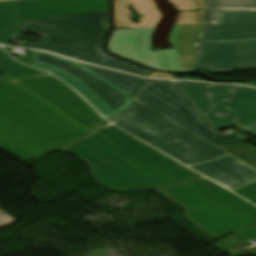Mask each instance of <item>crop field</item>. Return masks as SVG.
I'll return each mask as SVG.
<instances>
[{
    "mask_svg": "<svg viewBox=\"0 0 256 256\" xmlns=\"http://www.w3.org/2000/svg\"><path fill=\"white\" fill-rule=\"evenodd\" d=\"M153 27L115 30L109 50L156 68L149 50ZM175 63L185 70H256V11H219L217 25L178 26Z\"/></svg>",
    "mask_w": 256,
    "mask_h": 256,
    "instance_id": "obj_1",
    "label": "crop field"
},
{
    "mask_svg": "<svg viewBox=\"0 0 256 256\" xmlns=\"http://www.w3.org/2000/svg\"><path fill=\"white\" fill-rule=\"evenodd\" d=\"M91 132L62 149L84 159L93 177L115 191L156 189L201 177L105 120Z\"/></svg>",
    "mask_w": 256,
    "mask_h": 256,
    "instance_id": "obj_2",
    "label": "crop field"
},
{
    "mask_svg": "<svg viewBox=\"0 0 256 256\" xmlns=\"http://www.w3.org/2000/svg\"><path fill=\"white\" fill-rule=\"evenodd\" d=\"M87 134L89 132L9 77H0L2 149L26 161Z\"/></svg>",
    "mask_w": 256,
    "mask_h": 256,
    "instance_id": "obj_3",
    "label": "crop field"
},
{
    "mask_svg": "<svg viewBox=\"0 0 256 256\" xmlns=\"http://www.w3.org/2000/svg\"><path fill=\"white\" fill-rule=\"evenodd\" d=\"M108 10L83 14L27 20L21 22L18 32L42 34L40 43L24 42L19 47L48 50L75 60L105 66L147 77L151 71L112 58L101 48L102 38L108 31ZM13 37V36H12Z\"/></svg>",
    "mask_w": 256,
    "mask_h": 256,
    "instance_id": "obj_4",
    "label": "crop field"
},
{
    "mask_svg": "<svg viewBox=\"0 0 256 256\" xmlns=\"http://www.w3.org/2000/svg\"><path fill=\"white\" fill-rule=\"evenodd\" d=\"M133 123L169 143L157 149L231 191L256 181L255 169L162 113Z\"/></svg>",
    "mask_w": 256,
    "mask_h": 256,
    "instance_id": "obj_5",
    "label": "crop field"
},
{
    "mask_svg": "<svg viewBox=\"0 0 256 256\" xmlns=\"http://www.w3.org/2000/svg\"><path fill=\"white\" fill-rule=\"evenodd\" d=\"M156 190L183 205L188 219L214 238L256 225L255 206L203 177Z\"/></svg>",
    "mask_w": 256,
    "mask_h": 256,
    "instance_id": "obj_6",
    "label": "crop field"
},
{
    "mask_svg": "<svg viewBox=\"0 0 256 256\" xmlns=\"http://www.w3.org/2000/svg\"><path fill=\"white\" fill-rule=\"evenodd\" d=\"M29 56L14 57L31 67L47 70L67 82L105 118L126 109L132 99L129 93L100 77L78 62L59 56L28 50Z\"/></svg>",
    "mask_w": 256,
    "mask_h": 256,
    "instance_id": "obj_7",
    "label": "crop field"
},
{
    "mask_svg": "<svg viewBox=\"0 0 256 256\" xmlns=\"http://www.w3.org/2000/svg\"><path fill=\"white\" fill-rule=\"evenodd\" d=\"M0 71L87 131L103 120L82 98L46 72L24 66L0 48Z\"/></svg>",
    "mask_w": 256,
    "mask_h": 256,
    "instance_id": "obj_8",
    "label": "crop field"
},
{
    "mask_svg": "<svg viewBox=\"0 0 256 256\" xmlns=\"http://www.w3.org/2000/svg\"><path fill=\"white\" fill-rule=\"evenodd\" d=\"M132 95L218 147L248 140L242 133L224 137L217 134L173 81L146 79Z\"/></svg>",
    "mask_w": 256,
    "mask_h": 256,
    "instance_id": "obj_9",
    "label": "crop field"
},
{
    "mask_svg": "<svg viewBox=\"0 0 256 256\" xmlns=\"http://www.w3.org/2000/svg\"><path fill=\"white\" fill-rule=\"evenodd\" d=\"M109 9V0H20L0 3V44L9 45L22 20Z\"/></svg>",
    "mask_w": 256,
    "mask_h": 256,
    "instance_id": "obj_10",
    "label": "crop field"
},
{
    "mask_svg": "<svg viewBox=\"0 0 256 256\" xmlns=\"http://www.w3.org/2000/svg\"><path fill=\"white\" fill-rule=\"evenodd\" d=\"M180 88L191 98L194 104L204 114V116L216 127L217 130L231 128L227 117L231 115L225 111L219 110L220 104L216 98L223 95L221 90H216V86L187 81H176ZM189 98V99H190Z\"/></svg>",
    "mask_w": 256,
    "mask_h": 256,
    "instance_id": "obj_11",
    "label": "crop field"
},
{
    "mask_svg": "<svg viewBox=\"0 0 256 256\" xmlns=\"http://www.w3.org/2000/svg\"><path fill=\"white\" fill-rule=\"evenodd\" d=\"M224 90L228 95L220 100L225 102L223 110L236 115L231 122L236 126L256 122V89L226 85Z\"/></svg>",
    "mask_w": 256,
    "mask_h": 256,
    "instance_id": "obj_12",
    "label": "crop field"
},
{
    "mask_svg": "<svg viewBox=\"0 0 256 256\" xmlns=\"http://www.w3.org/2000/svg\"><path fill=\"white\" fill-rule=\"evenodd\" d=\"M130 13H138V15L142 14L144 17L141 18V22L139 24H135L129 20L132 15L121 16V14ZM159 16L160 13L153 5L114 9L116 28L155 26Z\"/></svg>",
    "mask_w": 256,
    "mask_h": 256,
    "instance_id": "obj_13",
    "label": "crop field"
},
{
    "mask_svg": "<svg viewBox=\"0 0 256 256\" xmlns=\"http://www.w3.org/2000/svg\"><path fill=\"white\" fill-rule=\"evenodd\" d=\"M203 24H216L218 10H256V0H206Z\"/></svg>",
    "mask_w": 256,
    "mask_h": 256,
    "instance_id": "obj_14",
    "label": "crop field"
},
{
    "mask_svg": "<svg viewBox=\"0 0 256 256\" xmlns=\"http://www.w3.org/2000/svg\"><path fill=\"white\" fill-rule=\"evenodd\" d=\"M134 103L130 106L129 109L125 110L121 114L114 116L108 119L111 123L120 126L123 124H127L157 113H160L156 109L152 108L151 106L145 104L144 102L140 101L139 99L133 96Z\"/></svg>",
    "mask_w": 256,
    "mask_h": 256,
    "instance_id": "obj_15",
    "label": "crop field"
},
{
    "mask_svg": "<svg viewBox=\"0 0 256 256\" xmlns=\"http://www.w3.org/2000/svg\"><path fill=\"white\" fill-rule=\"evenodd\" d=\"M82 65L95 71L103 78L109 80L110 82L114 83L115 85L129 92L130 94L144 80V78L127 75V74L116 72V71L106 70V69L88 66L84 64Z\"/></svg>",
    "mask_w": 256,
    "mask_h": 256,
    "instance_id": "obj_16",
    "label": "crop field"
},
{
    "mask_svg": "<svg viewBox=\"0 0 256 256\" xmlns=\"http://www.w3.org/2000/svg\"><path fill=\"white\" fill-rule=\"evenodd\" d=\"M222 150L256 169V148L241 143L221 147Z\"/></svg>",
    "mask_w": 256,
    "mask_h": 256,
    "instance_id": "obj_17",
    "label": "crop field"
},
{
    "mask_svg": "<svg viewBox=\"0 0 256 256\" xmlns=\"http://www.w3.org/2000/svg\"><path fill=\"white\" fill-rule=\"evenodd\" d=\"M120 128L124 129L125 131L131 133L132 135L140 138L141 140L147 142L154 147L167 144L166 142L162 141L161 139L155 137L154 135L146 132L145 130L139 128L132 123L120 126Z\"/></svg>",
    "mask_w": 256,
    "mask_h": 256,
    "instance_id": "obj_18",
    "label": "crop field"
},
{
    "mask_svg": "<svg viewBox=\"0 0 256 256\" xmlns=\"http://www.w3.org/2000/svg\"><path fill=\"white\" fill-rule=\"evenodd\" d=\"M205 10L182 11L178 17L177 25L202 24Z\"/></svg>",
    "mask_w": 256,
    "mask_h": 256,
    "instance_id": "obj_19",
    "label": "crop field"
},
{
    "mask_svg": "<svg viewBox=\"0 0 256 256\" xmlns=\"http://www.w3.org/2000/svg\"><path fill=\"white\" fill-rule=\"evenodd\" d=\"M179 10L205 9L204 1L175 3Z\"/></svg>",
    "mask_w": 256,
    "mask_h": 256,
    "instance_id": "obj_20",
    "label": "crop field"
},
{
    "mask_svg": "<svg viewBox=\"0 0 256 256\" xmlns=\"http://www.w3.org/2000/svg\"><path fill=\"white\" fill-rule=\"evenodd\" d=\"M16 222L10 215L0 209V228Z\"/></svg>",
    "mask_w": 256,
    "mask_h": 256,
    "instance_id": "obj_21",
    "label": "crop field"
},
{
    "mask_svg": "<svg viewBox=\"0 0 256 256\" xmlns=\"http://www.w3.org/2000/svg\"><path fill=\"white\" fill-rule=\"evenodd\" d=\"M236 233L249 239V240L255 239L256 238V226L236 232Z\"/></svg>",
    "mask_w": 256,
    "mask_h": 256,
    "instance_id": "obj_22",
    "label": "crop field"
},
{
    "mask_svg": "<svg viewBox=\"0 0 256 256\" xmlns=\"http://www.w3.org/2000/svg\"><path fill=\"white\" fill-rule=\"evenodd\" d=\"M237 128L241 129L244 132L256 135V123L238 126Z\"/></svg>",
    "mask_w": 256,
    "mask_h": 256,
    "instance_id": "obj_23",
    "label": "crop field"
},
{
    "mask_svg": "<svg viewBox=\"0 0 256 256\" xmlns=\"http://www.w3.org/2000/svg\"><path fill=\"white\" fill-rule=\"evenodd\" d=\"M150 77L153 78H165V79H171V77L169 76V74H165V73H158L155 72L154 74H152Z\"/></svg>",
    "mask_w": 256,
    "mask_h": 256,
    "instance_id": "obj_24",
    "label": "crop field"
},
{
    "mask_svg": "<svg viewBox=\"0 0 256 256\" xmlns=\"http://www.w3.org/2000/svg\"><path fill=\"white\" fill-rule=\"evenodd\" d=\"M247 85L256 87V82H253V83H247Z\"/></svg>",
    "mask_w": 256,
    "mask_h": 256,
    "instance_id": "obj_25",
    "label": "crop field"
},
{
    "mask_svg": "<svg viewBox=\"0 0 256 256\" xmlns=\"http://www.w3.org/2000/svg\"><path fill=\"white\" fill-rule=\"evenodd\" d=\"M3 1H12V0H0V2H3Z\"/></svg>",
    "mask_w": 256,
    "mask_h": 256,
    "instance_id": "obj_26",
    "label": "crop field"
}]
</instances>
